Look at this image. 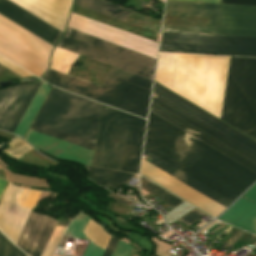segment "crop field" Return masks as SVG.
I'll use <instances>...</instances> for the list:
<instances>
[{"instance_id":"crop-field-1","label":"crop field","mask_w":256,"mask_h":256,"mask_svg":"<svg viewBox=\"0 0 256 256\" xmlns=\"http://www.w3.org/2000/svg\"><path fill=\"white\" fill-rule=\"evenodd\" d=\"M228 60L159 53L155 80L219 117ZM220 119L256 139V59L230 57Z\"/></svg>"},{"instance_id":"crop-field-2","label":"crop field","mask_w":256,"mask_h":256,"mask_svg":"<svg viewBox=\"0 0 256 256\" xmlns=\"http://www.w3.org/2000/svg\"><path fill=\"white\" fill-rule=\"evenodd\" d=\"M143 154L150 164L228 207L256 174L150 112Z\"/></svg>"},{"instance_id":"crop-field-3","label":"crop field","mask_w":256,"mask_h":256,"mask_svg":"<svg viewBox=\"0 0 256 256\" xmlns=\"http://www.w3.org/2000/svg\"><path fill=\"white\" fill-rule=\"evenodd\" d=\"M100 104L53 87L31 131L93 150ZM29 131L25 141L64 160L91 164L92 150Z\"/></svg>"},{"instance_id":"crop-field-4","label":"crop field","mask_w":256,"mask_h":256,"mask_svg":"<svg viewBox=\"0 0 256 256\" xmlns=\"http://www.w3.org/2000/svg\"><path fill=\"white\" fill-rule=\"evenodd\" d=\"M150 111L256 173V142L156 83Z\"/></svg>"},{"instance_id":"crop-field-5","label":"crop field","mask_w":256,"mask_h":256,"mask_svg":"<svg viewBox=\"0 0 256 256\" xmlns=\"http://www.w3.org/2000/svg\"><path fill=\"white\" fill-rule=\"evenodd\" d=\"M78 56V54L56 47L53 54L51 68L67 73L70 66ZM52 69H50L48 74L45 76V80L60 87L146 118L149 106L148 103L150 100L151 80L113 67L107 75L103 85L110 89L148 102L145 103L108 88L70 75H65Z\"/></svg>"},{"instance_id":"crop-field-6","label":"crop field","mask_w":256,"mask_h":256,"mask_svg":"<svg viewBox=\"0 0 256 256\" xmlns=\"http://www.w3.org/2000/svg\"><path fill=\"white\" fill-rule=\"evenodd\" d=\"M162 31L256 37V6L167 1Z\"/></svg>"},{"instance_id":"crop-field-7","label":"crop field","mask_w":256,"mask_h":256,"mask_svg":"<svg viewBox=\"0 0 256 256\" xmlns=\"http://www.w3.org/2000/svg\"><path fill=\"white\" fill-rule=\"evenodd\" d=\"M40 192L9 183L0 201V230L16 244ZM50 217L31 213L16 244L29 256H40L55 225Z\"/></svg>"},{"instance_id":"crop-field-8","label":"crop field","mask_w":256,"mask_h":256,"mask_svg":"<svg viewBox=\"0 0 256 256\" xmlns=\"http://www.w3.org/2000/svg\"><path fill=\"white\" fill-rule=\"evenodd\" d=\"M58 47L152 80L155 59L83 32L67 29Z\"/></svg>"},{"instance_id":"crop-field-9","label":"crop field","mask_w":256,"mask_h":256,"mask_svg":"<svg viewBox=\"0 0 256 256\" xmlns=\"http://www.w3.org/2000/svg\"><path fill=\"white\" fill-rule=\"evenodd\" d=\"M60 31H64L72 0H10ZM8 0H0V12L54 44L62 32Z\"/></svg>"},{"instance_id":"crop-field-10","label":"crop field","mask_w":256,"mask_h":256,"mask_svg":"<svg viewBox=\"0 0 256 256\" xmlns=\"http://www.w3.org/2000/svg\"><path fill=\"white\" fill-rule=\"evenodd\" d=\"M53 46L0 15V55L40 77Z\"/></svg>"},{"instance_id":"crop-field-11","label":"crop field","mask_w":256,"mask_h":256,"mask_svg":"<svg viewBox=\"0 0 256 256\" xmlns=\"http://www.w3.org/2000/svg\"><path fill=\"white\" fill-rule=\"evenodd\" d=\"M159 50L256 56V38L162 32Z\"/></svg>"},{"instance_id":"crop-field-12","label":"crop field","mask_w":256,"mask_h":256,"mask_svg":"<svg viewBox=\"0 0 256 256\" xmlns=\"http://www.w3.org/2000/svg\"><path fill=\"white\" fill-rule=\"evenodd\" d=\"M128 117L102 105L93 165L120 170Z\"/></svg>"},{"instance_id":"crop-field-13","label":"crop field","mask_w":256,"mask_h":256,"mask_svg":"<svg viewBox=\"0 0 256 256\" xmlns=\"http://www.w3.org/2000/svg\"><path fill=\"white\" fill-rule=\"evenodd\" d=\"M69 27L108 40L110 42L138 51L154 58L156 56L158 46L157 43L123 32L121 30L109 27L107 25L95 22L93 20L81 17L73 13L70 18Z\"/></svg>"},{"instance_id":"crop-field-14","label":"crop field","mask_w":256,"mask_h":256,"mask_svg":"<svg viewBox=\"0 0 256 256\" xmlns=\"http://www.w3.org/2000/svg\"><path fill=\"white\" fill-rule=\"evenodd\" d=\"M40 83L0 90V130L13 133Z\"/></svg>"},{"instance_id":"crop-field-15","label":"crop field","mask_w":256,"mask_h":256,"mask_svg":"<svg viewBox=\"0 0 256 256\" xmlns=\"http://www.w3.org/2000/svg\"><path fill=\"white\" fill-rule=\"evenodd\" d=\"M146 120L130 114L121 170L138 173Z\"/></svg>"},{"instance_id":"crop-field-16","label":"crop field","mask_w":256,"mask_h":256,"mask_svg":"<svg viewBox=\"0 0 256 256\" xmlns=\"http://www.w3.org/2000/svg\"><path fill=\"white\" fill-rule=\"evenodd\" d=\"M219 219L256 234V203L241 197Z\"/></svg>"},{"instance_id":"crop-field-17","label":"crop field","mask_w":256,"mask_h":256,"mask_svg":"<svg viewBox=\"0 0 256 256\" xmlns=\"http://www.w3.org/2000/svg\"><path fill=\"white\" fill-rule=\"evenodd\" d=\"M50 88L51 87L49 85L45 83H41L34 98L32 99L30 105L28 106L26 112L24 113L22 119L20 120L18 126L16 127L14 134L19 135L23 138L25 132L27 131L33 118L35 117L38 109L40 108Z\"/></svg>"},{"instance_id":"crop-field-18","label":"crop field","mask_w":256,"mask_h":256,"mask_svg":"<svg viewBox=\"0 0 256 256\" xmlns=\"http://www.w3.org/2000/svg\"><path fill=\"white\" fill-rule=\"evenodd\" d=\"M85 167L88 169L89 177L113 189H115L121 183L127 184L130 178L133 176L131 173L94 168L86 165Z\"/></svg>"},{"instance_id":"crop-field-19","label":"crop field","mask_w":256,"mask_h":256,"mask_svg":"<svg viewBox=\"0 0 256 256\" xmlns=\"http://www.w3.org/2000/svg\"><path fill=\"white\" fill-rule=\"evenodd\" d=\"M74 3L123 21L130 13V10L102 0H75Z\"/></svg>"},{"instance_id":"crop-field-20","label":"crop field","mask_w":256,"mask_h":256,"mask_svg":"<svg viewBox=\"0 0 256 256\" xmlns=\"http://www.w3.org/2000/svg\"><path fill=\"white\" fill-rule=\"evenodd\" d=\"M89 217L81 213L69 224L65 234L79 238L88 239L82 232L89 221ZM89 240V239H88ZM104 250L90 242L84 256H101Z\"/></svg>"},{"instance_id":"crop-field-21","label":"crop field","mask_w":256,"mask_h":256,"mask_svg":"<svg viewBox=\"0 0 256 256\" xmlns=\"http://www.w3.org/2000/svg\"><path fill=\"white\" fill-rule=\"evenodd\" d=\"M140 184L142 189L155 195L156 197H158L160 200H162L172 208L175 207L177 204H179L181 201H183L141 176H140Z\"/></svg>"},{"instance_id":"crop-field-22","label":"crop field","mask_w":256,"mask_h":256,"mask_svg":"<svg viewBox=\"0 0 256 256\" xmlns=\"http://www.w3.org/2000/svg\"><path fill=\"white\" fill-rule=\"evenodd\" d=\"M0 256H26L0 233Z\"/></svg>"},{"instance_id":"crop-field-23","label":"crop field","mask_w":256,"mask_h":256,"mask_svg":"<svg viewBox=\"0 0 256 256\" xmlns=\"http://www.w3.org/2000/svg\"><path fill=\"white\" fill-rule=\"evenodd\" d=\"M8 145H10L11 147L5 149V151H7L8 153H10L18 158L20 156H22L24 153L33 149L27 143H25L18 137L15 138L13 141H11Z\"/></svg>"},{"instance_id":"crop-field-24","label":"crop field","mask_w":256,"mask_h":256,"mask_svg":"<svg viewBox=\"0 0 256 256\" xmlns=\"http://www.w3.org/2000/svg\"><path fill=\"white\" fill-rule=\"evenodd\" d=\"M204 215H206V214H204L194 208L177 221L189 226L192 223H194L195 221H197L198 219H200L201 217H203Z\"/></svg>"},{"instance_id":"crop-field-25","label":"crop field","mask_w":256,"mask_h":256,"mask_svg":"<svg viewBox=\"0 0 256 256\" xmlns=\"http://www.w3.org/2000/svg\"><path fill=\"white\" fill-rule=\"evenodd\" d=\"M176 1H194V2L220 3V0H176ZM221 3L256 5V0H222Z\"/></svg>"},{"instance_id":"crop-field-26","label":"crop field","mask_w":256,"mask_h":256,"mask_svg":"<svg viewBox=\"0 0 256 256\" xmlns=\"http://www.w3.org/2000/svg\"><path fill=\"white\" fill-rule=\"evenodd\" d=\"M132 247L128 246L122 241H118L111 256H128Z\"/></svg>"},{"instance_id":"crop-field-27","label":"crop field","mask_w":256,"mask_h":256,"mask_svg":"<svg viewBox=\"0 0 256 256\" xmlns=\"http://www.w3.org/2000/svg\"><path fill=\"white\" fill-rule=\"evenodd\" d=\"M116 242H117V239L111 237V239H110V241H109V243H108V245H107V247H106L102 256H110Z\"/></svg>"},{"instance_id":"crop-field-28","label":"crop field","mask_w":256,"mask_h":256,"mask_svg":"<svg viewBox=\"0 0 256 256\" xmlns=\"http://www.w3.org/2000/svg\"><path fill=\"white\" fill-rule=\"evenodd\" d=\"M243 197L256 202V184Z\"/></svg>"},{"instance_id":"crop-field-29","label":"crop field","mask_w":256,"mask_h":256,"mask_svg":"<svg viewBox=\"0 0 256 256\" xmlns=\"http://www.w3.org/2000/svg\"><path fill=\"white\" fill-rule=\"evenodd\" d=\"M108 197H110V198H112V199H114V200H116V201H118V202H120V203H122L124 205H127V206H129L132 203V201L127 200L125 198H122L120 196H117V195H115L113 193H111Z\"/></svg>"},{"instance_id":"crop-field-30","label":"crop field","mask_w":256,"mask_h":256,"mask_svg":"<svg viewBox=\"0 0 256 256\" xmlns=\"http://www.w3.org/2000/svg\"><path fill=\"white\" fill-rule=\"evenodd\" d=\"M237 231V229L232 228L227 234L226 236L219 242V244L224 245L227 240Z\"/></svg>"},{"instance_id":"crop-field-31","label":"crop field","mask_w":256,"mask_h":256,"mask_svg":"<svg viewBox=\"0 0 256 256\" xmlns=\"http://www.w3.org/2000/svg\"><path fill=\"white\" fill-rule=\"evenodd\" d=\"M8 183H9V182H7V181H5V180H3V179L0 178V199H1V197H2V195H3V193H4V191H5V189H6L7 185H8Z\"/></svg>"},{"instance_id":"crop-field-32","label":"crop field","mask_w":256,"mask_h":256,"mask_svg":"<svg viewBox=\"0 0 256 256\" xmlns=\"http://www.w3.org/2000/svg\"><path fill=\"white\" fill-rule=\"evenodd\" d=\"M215 223H217V221H214L213 223L209 224L208 226L204 227L199 233H203L205 232L207 229H209L211 226H213Z\"/></svg>"},{"instance_id":"crop-field-33","label":"crop field","mask_w":256,"mask_h":256,"mask_svg":"<svg viewBox=\"0 0 256 256\" xmlns=\"http://www.w3.org/2000/svg\"><path fill=\"white\" fill-rule=\"evenodd\" d=\"M2 67V65H0V68Z\"/></svg>"},{"instance_id":"crop-field-34","label":"crop field","mask_w":256,"mask_h":256,"mask_svg":"<svg viewBox=\"0 0 256 256\" xmlns=\"http://www.w3.org/2000/svg\"><path fill=\"white\" fill-rule=\"evenodd\" d=\"M162 1H164V0H162Z\"/></svg>"},{"instance_id":"crop-field-35","label":"crop field","mask_w":256,"mask_h":256,"mask_svg":"<svg viewBox=\"0 0 256 256\" xmlns=\"http://www.w3.org/2000/svg\"><path fill=\"white\" fill-rule=\"evenodd\" d=\"M54 256H56V255H54Z\"/></svg>"}]
</instances>
